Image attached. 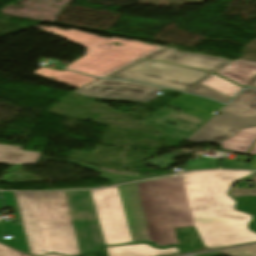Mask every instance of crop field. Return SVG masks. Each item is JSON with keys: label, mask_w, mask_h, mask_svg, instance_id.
Listing matches in <instances>:
<instances>
[{"label": "crop field", "mask_w": 256, "mask_h": 256, "mask_svg": "<svg viewBox=\"0 0 256 256\" xmlns=\"http://www.w3.org/2000/svg\"><path fill=\"white\" fill-rule=\"evenodd\" d=\"M256 183V174L252 180ZM230 194L233 197L237 196H256V187L254 189L232 187Z\"/></svg>", "instance_id": "obj_22"}, {"label": "crop field", "mask_w": 256, "mask_h": 256, "mask_svg": "<svg viewBox=\"0 0 256 256\" xmlns=\"http://www.w3.org/2000/svg\"><path fill=\"white\" fill-rule=\"evenodd\" d=\"M186 141L220 142L234 136L239 130L256 126V90L246 89Z\"/></svg>", "instance_id": "obj_5"}, {"label": "crop field", "mask_w": 256, "mask_h": 256, "mask_svg": "<svg viewBox=\"0 0 256 256\" xmlns=\"http://www.w3.org/2000/svg\"><path fill=\"white\" fill-rule=\"evenodd\" d=\"M168 121H171L177 125L173 128L163 125ZM208 121L209 120L179 112L176 115L167 114L161 117L151 116L143 122L148 125L166 130L176 135L179 139L185 140Z\"/></svg>", "instance_id": "obj_10"}, {"label": "crop field", "mask_w": 256, "mask_h": 256, "mask_svg": "<svg viewBox=\"0 0 256 256\" xmlns=\"http://www.w3.org/2000/svg\"><path fill=\"white\" fill-rule=\"evenodd\" d=\"M238 209L256 215V197H237ZM251 229L256 231V220L251 224Z\"/></svg>", "instance_id": "obj_20"}, {"label": "crop field", "mask_w": 256, "mask_h": 256, "mask_svg": "<svg viewBox=\"0 0 256 256\" xmlns=\"http://www.w3.org/2000/svg\"><path fill=\"white\" fill-rule=\"evenodd\" d=\"M212 74L167 63L137 60L102 78L136 80L186 92Z\"/></svg>", "instance_id": "obj_4"}, {"label": "crop field", "mask_w": 256, "mask_h": 256, "mask_svg": "<svg viewBox=\"0 0 256 256\" xmlns=\"http://www.w3.org/2000/svg\"><path fill=\"white\" fill-rule=\"evenodd\" d=\"M3 200L5 202V207H14L17 218L20 219L19 222H21L20 225L14 224V223H1L3 226L4 236H12V240H6L5 244L9 246L16 247L20 250H23L27 253H29L22 221L20 218V214L18 211V207L16 204V200L14 197L13 192H2ZM30 254V253H29Z\"/></svg>", "instance_id": "obj_12"}, {"label": "crop field", "mask_w": 256, "mask_h": 256, "mask_svg": "<svg viewBox=\"0 0 256 256\" xmlns=\"http://www.w3.org/2000/svg\"><path fill=\"white\" fill-rule=\"evenodd\" d=\"M3 208L1 198H0V211ZM0 241L4 243V239H2V234H1V228H0Z\"/></svg>", "instance_id": "obj_25"}, {"label": "crop field", "mask_w": 256, "mask_h": 256, "mask_svg": "<svg viewBox=\"0 0 256 256\" xmlns=\"http://www.w3.org/2000/svg\"><path fill=\"white\" fill-rule=\"evenodd\" d=\"M188 93L209 97L222 103H227L231 99L227 96L212 91L200 84L189 90Z\"/></svg>", "instance_id": "obj_19"}, {"label": "crop field", "mask_w": 256, "mask_h": 256, "mask_svg": "<svg viewBox=\"0 0 256 256\" xmlns=\"http://www.w3.org/2000/svg\"><path fill=\"white\" fill-rule=\"evenodd\" d=\"M14 193L32 255H80L64 192Z\"/></svg>", "instance_id": "obj_2"}, {"label": "crop field", "mask_w": 256, "mask_h": 256, "mask_svg": "<svg viewBox=\"0 0 256 256\" xmlns=\"http://www.w3.org/2000/svg\"><path fill=\"white\" fill-rule=\"evenodd\" d=\"M167 106L179 109L181 112L208 119L214 110H219L223 104L204 98L184 94Z\"/></svg>", "instance_id": "obj_11"}, {"label": "crop field", "mask_w": 256, "mask_h": 256, "mask_svg": "<svg viewBox=\"0 0 256 256\" xmlns=\"http://www.w3.org/2000/svg\"><path fill=\"white\" fill-rule=\"evenodd\" d=\"M90 192L105 244L114 245L132 242L118 186Z\"/></svg>", "instance_id": "obj_6"}, {"label": "crop field", "mask_w": 256, "mask_h": 256, "mask_svg": "<svg viewBox=\"0 0 256 256\" xmlns=\"http://www.w3.org/2000/svg\"><path fill=\"white\" fill-rule=\"evenodd\" d=\"M176 50L177 49L175 48L163 47L143 58L166 61L213 73H216L217 71L232 62L222 58H214L207 55L182 53Z\"/></svg>", "instance_id": "obj_9"}, {"label": "crop field", "mask_w": 256, "mask_h": 256, "mask_svg": "<svg viewBox=\"0 0 256 256\" xmlns=\"http://www.w3.org/2000/svg\"><path fill=\"white\" fill-rule=\"evenodd\" d=\"M227 256H256V246L219 252Z\"/></svg>", "instance_id": "obj_21"}, {"label": "crop field", "mask_w": 256, "mask_h": 256, "mask_svg": "<svg viewBox=\"0 0 256 256\" xmlns=\"http://www.w3.org/2000/svg\"><path fill=\"white\" fill-rule=\"evenodd\" d=\"M252 172H191L119 186L133 242L178 245L177 228L196 227L205 247L256 241L252 216L235 210L227 194L233 182Z\"/></svg>", "instance_id": "obj_1"}, {"label": "crop field", "mask_w": 256, "mask_h": 256, "mask_svg": "<svg viewBox=\"0 0 256 256\" xmlns=\"http://www.w3.org/2000/svg\"><path fill=\"white\" fill-rule=\"evenodd\" d=\"M34 74H37L39 76L52 79L51 77H55L52 80L62 82L77 88H80L96 79L87 77L81 74H77L71 71H57V70H51V69H45L42 68L39 71L35 72Z\"/></svg>", "instance_id": "obj_17"}, {"label": "crop field", "mask_w": 256, "mask_h": 256, "mask_svg": "<svg viewBox=\"0 0 256 256\" xmlns=\"http://www.w3.org/2000/svg\"><path fill=\"white\" fill-rule=\"evenodd\" d=\"M65 193L81 255L97 251L99 247L105 244L90 192Z\"/></svg>", "instance_id": "obj_7"}, {"label": "crop field", "mask_w": 256, "mask_h": 256, "mask_svg": "<svg viewBox=\"0 0 256 256\" xmlns=\"http://www.w3.org/2000/svg\"><path fill=\"white\" fill-rule=\"evenodd\" d=\"M249 87H255L256 88V76L253 78V80L248 84Z\"/></svg>", "instance_id": "obj_24"}, {"label": "crop field", "mask_w": 256, "mask_h": 256, "mask_svg": "<svg viewBox=\"0 0 256 256\" xmlns=\"http://www.w3.org/2000/svg\"><path fill=\"white\" fill-rule=\"evenodd\" d=\"M216 74L221 75L241 86H247V84L256 75V62L236 60Z\"/></svg>", "instance_id": "obj_13"}, {"label": "crop field", "mask_w": 256, "mask_h": 256, "mask_svg": "<svg viewBox=\"0 0 256 256\" xmlns=\"http://www.w3.org/2000/svg\"><path fill=\"white\" fill-rule=\"evenodd\" d=\"M35 28L56 33L59 37L85 47L87 55L66 67V69L97 77H102L158 49V47L118 38L109 40L73 29L64 31L55 27ZM110 42H120L122 45L115 47ZM106 43L112 46L106 45Z\"/></svg>", "instance_id": "obj_3"}, {"label": "crop field", "mask_w": 256, "mask_h": 256, "mask_svg": "<svg viewBox=\"0 0 256 256\" xmlns=\"http://www.w3.org/2000/svg\"><path fill=\"white\" fill-rule=\"evenodd\" d=\"M21 147L0 145V163L35 164L41 153L21 151Z\"/></svg>", "instance_id": "obj_16"}, {"label": "crop field", "mask_w": 256, "mask_h": 256, "mask_svg": "<svg viewBox=\"0 0 256 256\" xmlns=\"http://www.w3.org/2000/svg\"><path fill=\"white\" fill-rule=\"evenodd\" d=\"M0 256H29L15 249H12L6 245L0 244ZM46 256H58V255H46Z\"/></svg>", "instance_id": "obj_23"}, {"label": "crop field", "mask_w": 256, "mask_h": 256, "mask_svg": "<svg viewBox=\"0 0 256 256\" xmlns=\"http://www.w3.org/2000/svg\"><path fill=\"white\" fill-rule=\"evenodd\" d=\"M108 256H161L180 252L177 248L157 249L147 244L106 247Z\"/></svg>", "instance_id": "obj_14"}, {"label": "crop field", "mask_w": 256, "mask_h": 256, "mask_svg": "<svg viewBox=\"0 0 256 256\" xmlns=\"http://www.w3.org/2000/svg\"><path fill=\"white\" fill-rule=\"evenodd\" d=\"M160 90L162 88L134 82L98 79L74 92L87 97L147 102L157 97Z\"/></svg>", "instance_id": "obj_8"}, {"label": "crop field", "mask_w": 256, "mask_h": 256, "mask_svg": "<svg viewBox=\"0 0 256 256\" xmlns=\"http://www.w3.org/2000/svg\"><path fill=\"white\" fill-rule=\"evenodd\" d=\"M255 140L256 127H253L239 131L234 137L220 143V145L223 149L246 154ZM249 154L256 155V143Z\"/></svg>", "instance_id": "obj_15"}, {"label": "crop field", "mask_w": 256, "mask_h": 256, "mask_svg": "<svg viewBox=\"0 0 256 256\" xmlns=\"http://www.w3.org/2000/svg\"><path fill=\"white\" fill-rule=\"evenodd\" d=\"M201 84L231 98H233L243 88L215 74L203 81Z\"/></svg>", "instance_id": "obj_18"}]
</instances>
